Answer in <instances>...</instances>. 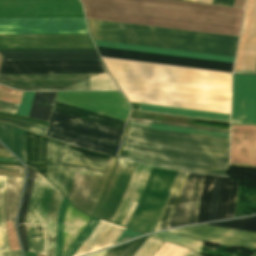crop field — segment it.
<instances>
[{
	"instance_id": "8a807250",
	"label": "crop field",
	"mask_w": 256,
	"mask_h": 256,
	"mask_svg": "<svg viewBox=\"0 0 256 256\" xmlns=\"http://www.w3.org/2000/svg\"><path fill=\"white\" fill-rule=\"evenodd\" d=\"M118 80L230 94L231 74L102 58ZM115 80L129 102L230 114V95Z\"/></svg>"
},
{
	"instance_id": "ac0d7876",
	"label": "crop field",
	"mask_w": 256,
	"mask_h": 256,
	"mask_svg": "<svg viewBox=\"0 0 256 256\" xmlns=\"http://www.w3.org/2000/svg\"><path fill=\"white\" fill-rule=\"evenodd\" d=\"M229 139L130 127L122 158L177 170L226 175Z\"/></svg>"
},
{
	"instance_id": "34b2d1b8",
	"label": "crop field",
	"mask_w": 256,
	"mask_h": 256,
	"mask_svg": "<svg viewBox=\"0 0 256 256\" xmlns=\"http://www.w3.org/2000/svg\"><path fill=\"white\" fill-rule=\"evenodd\" d=\"M93 40L234 57L238 37L87 19Z\"/></svg>"
},
{
	"instance_id": "412701ff",
	"label": "crop field",
	"mask_w": 256,
	"mask_h": 256,
	"mask_svg": "<svg viewBox=\"0 0 256 256\" xmlns=\"http://www.w3.org/2000/svg\"><path fill=\"white\" fill-rule=\"evenodd\" d=\"M53 111L88 120L94 123L124 130L125 121L90 112L84 109L54 102ZM51 113L46 137L92 151L117 156L122 131L87 122L81 119Z\"/></svg>"
},
{
	"instance_id": "f4fd0767",
	"label": "crop field",
	"mask_w": 256,
	"mask_h": 256,
	"mask_svg": "<svg viewBox=\"0 0 256 256\" xmlns=\"http://www.w3.org/2000/svg\"><path fill=\"white\" fill-rule=\"evenodd\" d=\"M0 84L21 91L119 90L108 74H0Z\"/></svg>"
},
{
	"instance_id": "dd49c442",
	"label": "crop field",
	"mask_w": 256,
	"mask_h": 256,
	"mask_svg": "<svg viewBox=\"0 0 256 256\" xmlns=\"http://www.w3.org/2000/svg\"><path fill=\"white\" fill-rule=\"evenodd\" d=\"M94 42L96 46H101V47H109V48L125 49V50H133V51H141V52H149V53H157V54H165V55L229 62V63H233V60H234V58H230V57L172 51V50H164V49H156V48H147V47H139V46H131V45H123V44H114V43H106V42H98V41H94ZM97 49L100 55L107 56V57L123 58V59H131V60H139V61H147V62H155V63H163V64L227 71V72H231L232 65H233L228 63H220V62L204 61V60H196V59H188V58H180V57L100 48V47H97Z\"/></svg>"
},
{
	"instance_id": "e52e79f7",
	"label": "crop field",
	"mask_w": 256,
	"mask_h": 256,
	"mask_svg": "<svg viewBox=\"0 0 256 256\" xmlns=\"http://www.w3.org/2000/svg\"><path fill=\"white\" fill-rule=\"evenodd\" d=\"M178 172L153 168L144 193L127 227L145 233L155 230Z\"/></svg>"
},
{
	"instance_id": "d8731c3e",
	"label": "crop field",
	"mask_w": 256,
	"mask_h": 256,
	"mask_svg": "<svg viewBox=\"0 0 256 256\" xmlns=\"http://www.w3.org/2000/svg\"><path fill=\"white\" fill-rule=\"evenodd\" d=\"M188 174L187 172H179L155 231L167 228ZM202 178L203 175L201 174H189L168 228L196 223Z\"/></svg>"
},
{
	"instance_id": "5a996713",
	"label": "crop field",
	"mask_w": 256,
	"mask_h": 256,
	"mask_svg": "<svg viewBox=\"0 0 256 256\" xmlns=\"http://www.w3.org/2000/svg\"><path fill=\"white\" fill-rule=\"evenodd\" d=\"M55 186L37 173L25 220L30 252L47 256L46 224Z\"/></svg>"
},
{
	"instance_id": "3316defc",
	"label": "crop field",
	"mask_w": 256,
	"mask_h": 256,
	"mask_svg": "<svg viewBox=\"0 0 256 256\" xmlns=\"http://www.w3.org/2000/svg\"><path fill=\"white\" fill-rule=\"evenodd\" d=\"M237 185L230 178L204 175L197 223L233 217Z\"/></svg>"
},
{
	"instance_id": "28ad6ade",
	"label": "crop field",
	"mask_w": 256,
	"mask_h": 256,
	"mask_svg": "<svg viewBox=\"0 0 256 256\" xmlns=\"http://www.w3.org/2000/svg\"><path fill=\"white\" fill-rule=\"evenodd\" d=\"M115 161V157H110L103 173L75 167L68 199L76 208L92 215Z\"/></svg>"
},
{
	"instance_id": "d1516ede",
	"label": "crop field",
	"mask_w": 256,
	"mask_h": 256,
	"mask_svg": "<svg viewBox=\"0 0 256 256\" xmlns=\"http://www.w3.org/2000/svg\"><path fill=\"white\" fill-rule=\"evenodd\" d=\"M0 34H88L84 19H0Z\"/></svg>"
},
{
	"instance_id": "22f410ed",
	"label": "crop field",
	"mask_w": 256,
	"mask_h": 256,
	"mask_svg": "<svg viewBox=\"0 0 256 256\" xmlns=\"http://www.w3.org/2000/svg\"><path fill=\"white\" fill-rule=\"evenodd\" d=\"M0 73H107L101 60L3 61Z\"/></svg>"
},
{
	"instance_id": "cbeb9de0",
	"label": "crop field",
	"mask_w": 256,
	"mask_h": 256,
	"mask_svg": "<svg viewBox=\"0 0 256 256\" xmlns=\"http://www.w3.org/2000/svg\"><path fill=\"white\" fill-rule=\"evenodd\" d=\"M0 49H95L88 35H0Z\"/></svg>"
},
{
	"instance_id": "5142ce71",
	"label": "crop field",
	"mask_w": 256,
	"mask_h": 256,
	"mask_svg": "<svg viewBox=\"0 0 256 256\" xmlns=\"http://www.w3.org/2000/svg\"><path fill=\"white\" fill-rule=\"evenodd\" d=\"M215 244L256 249V233L200 225L166 231Z\"/></svg>"
},
{
	"instance_id": "d9b57169",
	"label": "crop field",
	"mask_w": 256,
	"mask_h": 256,
	"mask_svg": "<svg viewBox=\"0 0 256 256\" xmlns=\"http://www.w3.org/2000/svg\"><path fill=\"white\" fill-rule=\"evenodd\" d=\"M232 124L256 125V75H233Z\"/></svg>"
},
{
	"instance_id": "733c2abd",
	"label": "crop field",
	"mask_w": 256,
	"mask_h": 256,
	"mask_svg": "<svg viewBox=\"0 0 256 256\" xmlns=\"http://www.w3.org/2000/svg\"><path fill=\"white\" fill-rule=\"evenodd\" d=\"M135 164V162L118 159L94 217L110 221L126 189Z\"/></svg>"
},
{
	"instance_id": "4a817a6b",
	"label": "crop field",
	"mask_w": 256,
	"mask_h": 256,
	"mask_svg": "<svg viewBox=\"0 0 256 256\" xmlns=\"http://www.w3.org/2000/svg\"><path fill=\"white\" fill-rule=\"evenodd\" d=\"M256 65V0H247L234 70L254 71Z\"/></svg>"
},
{
	"instance_id": "bc2a9ffb",
	"label": "crop field",
	"mask_w": 256,
	"mask_h": 256,
	"mask_svg": "<svg viewBox=\"0 0 256 256\" xmlns=\"http://www.w3.org/2000/svg\"><path fill=\"white\" fill-rule=\"evenodd\" d=\"M137 110L208 118V119H217V120H225V121H229V117H230V115H226V114L209 113V112L167 108V107L142 105V104L138 105ZM127 125L229 138V133L220 132V131H212V130H204V129H196V128L132 121V120H129Z\"/></svg>"
},
{
	"instance_id": "214f88e0",
	"label": "crop field",
	"mask_w": 256,
	"mask_h": 256,
	"mask_svg": "<svg viewBox=\"0 0 256 256\" xmlns=\"http://www.w3.org/2000/svg\"><path fill=\"white\" fill-rule=\"evenodd\" d=\"M153 167L139 164L137 163L135 166V169L133 171V174L131 176V179L129 181V184L127 186V189L124 193V196L115 211L111 222H114L116 224L121 225L130 205L132 202L138 203L139 198L145 188V185L148 181V178L150 176L151 170ZM137 204L132 203L122 225L126 226L128 220L130 219L135 207Z\"/></svg>"
},
{
	"instance_id": "92a150f3",
	"label": "crop field",
	"mask_w": 256,
	"mask_h": 256,
	"mask_svg": "<svg viewBox=\"0 0 256 256\" xmlns=\"http://www.w3.org/2000/svg\"><path fill=\"white\" fill-rule=\"evenodd\" d=\"M3 60L100 59L96 50H0Z\"/></svg>"
},
{
	"instance_id": "dafd665d",
	"label": "crop field",
	"mask_w": 256,
	"mask_h": 256,
	"mask_svg": "<svg viewBox=\"0 0 256 256\" xmlns=\"http://www.w3.org/2000/svg\"><path fill=\"white\" fill-rule=\"evenodd\" d=\"M110 156L62 143L59 164L102 172Z\"/></svg>"
},
{
	"instance_id": "00972430",
	"label": "crop field",
	"mask_w": 256,
	"mask_h": 256,
	"mask_svg": "<svg viewBox=\"0 0 256 256\" xmlns=\"http://www.w3.org/2000/svg\"><path fill=\"white\" fill-rule=\"evenodd\" d=\"M61 143L49 139L47 154V179L67 197L74 167L58 165Z\"/></svg>"
},
{
	"instance_id": "a9b5d70f",
	"label": "crop field",
	"mask_w": 256,
	"mask_h": 256,
	"mask_svg": "<svg viewBox=\"0 0 256 256\" xmlns=\"http://www.w3.org/2000/svg\"><path fill=\"white\" fill-rule=\"evenodd\" d=\"M109 222L100 220L96 225L94 230L86 238L80 248L76 251L73 256L84 255L85 252L90 248L94 241L99 237L103 230L108 226ZM124 227L110 223L109 226L104 230L100 237L95 241L91 248L86 252V254L110 247L120 236Z\"/></svg>"
},
{
	"instance_id": "4177f3b9",
	"label": "crop field",
	"mask_w": 256,
	"mask_h": 256,
	"mask_svg": "<svg viewBox=\"0 0 256 256\" xmlns=\"http://www.w3.org/2000/svg\"><path fill=\"white\" fill-rule=\"evenodd\" d=\"M48 139L26 131L27 165L45 175Z\"/></svg>"
},
{
	"instance_id": "730fd06b",
	"label": "crop field",
	"mask_w": 256,
	"mask_h": 256,
	"mask_svg": "<svg viewBox=\"0 0 256 256\" xmlns=\"http://www.w3.org/2000/svg\"><path fill=\"white\" fill-rule=\"evenodd\" d=\"M24 137V130L0 122V139L26 164Z\"/></svg>"
},
{
	"instance_id": "eef30255",
	"label": "crop field",
	"mask_w": 256,
	"mask_h": 256,
	"mask_svg": "<svg viewBox=\"0 0 256 256\" xmlns=\"http://www.w3.org/2000/svg\"><path fill=\"white\" fill-rule=\"evenodd\" d=\"M24 178L9 177L5 193L6 220L13 221L23 186Z\"/></svg>"
},
{
	"instance_id": "ae1a2a85",
	"label": "crop field",
	"mask_w": 256,
	"mask_h": 256,
	"mask_svg": "<svg viewBox=\"0 0 256 256\" xmlns=\"http://www.w3.org/2000/svg\"><path fill=\"white\" fill-rule=\"evenodd\" d=\"M55 93L36 92L28 117L48 121Z\"/></svg>"
},
{
	"instance_id": "d3111659",
	"label": "crop field",
	"mask_w": 256,
	"mask_h": 256,
	"mask_svg": "<svg viewBox=\"0 0 256 256\" xmlns=\"http://www.w3.org/2000/svg\"><path fill=\"white\" fill-rule=\"evenodd\" d=\"M62 196L63 194L57 188H55V191L52 197L49 218H48V225H47L48 256H54L55 254L57 213L60 208Z\"/></svg>"
},
{
	"instance_id": "750c4746",
	"label": "crop field",
	"mask_w": 256,
	"mask_h": 256,
	"mask_svg": "<svg viewBox=\"0 0 256 256\" xmlns=\"http://www.w3.org/2000/svg\"><path fill=\"white\" fill-rule=\"evenodd\" d=\"M8 176L0 175V256H21L20 251H10L5 228L4 192Z\"/></svg>"
},
{
	"instance_id": "bd1437ed",
	"label": "crop field",
	"mask_w": 256,
	"mask_h": 256,
	"mask_svg": "<svg viewBox=\"0 0 256 256\" xmlns=\"http://www.w3.org/2000/svg\"><path fill=\"white\" fill-rule=\"evenodd\" d=\"M27 169H28V180L26 183L23 201H22L21 210H20L19 219H18V231H19V235L21 237L23 249L29 251L28 246H27V240H26L24 219H25L28 200H29V197H30V194L32 191L36 171H34L28 167H27Z\"/></svg>"
},
{
	"instance_id": "1d83c4d3",
	"label": "crop field",
	"mask_w": 256,
	"mask_h": 256,
	"mask_svg": "<svg viewBox=\"0 0 256 256\" xmlns=\"http://www.w3.org/2000/svg\"><path fill=\"white\" fill-rule=\"evenodd\" d=\"M151 236L188 247L198 253L201 252V249L204 243L202 241H198V240H194V239H190V238H186V237H182V236H178V235H174L166 232L154 234Z\"/></svg>"
},
{
	"instance_id": "120bbe31",
	"label": "crop field",
	"mask_w": 256,
	"mask_h": 256,
	"mask_svg": "<svg viewBox=\"0 0 256 256\" xmlns=\"http://www.w3.org/2000/svg\"><path fill=\"white\" fill-rule=\"evenodd\" d=\"M207 225L256 232V216L237 219V220H231V221H225V222H219V223H213V224H207Z\"/></svg>"
},
{
	"instance_id": "d32e631a",
	"label": "crop field",
	"mask_w": 256,
	"mask_h": 256,
	"mask_svg": "<svg viewBox=\"0 0 256 256\" xmlns=\"http://www.w3.org/2000/svg\"><path fill=\"white\" fill-rule=\"evenodd\" d=\"M147 237L111 248L104 256H132Z\"/></svg>"
},
{
	"instance_id": "5866460e",
	"label": "crop field",
	"mask_w": 256,
	"mask_h": 256,
	"mask_svg": "<svg viewBox=\"0 0 256 256\" xmlns=\"http://www.w3.org/2000/svg\"><path fill=\"white\" fill-rule=\"evenodd\" d=\"M163 243L164 241L149 236L133 256H153Z\"/></svg>"
},
{
	"instance_id": "028f5c9d",
	"label": "crop field",
	"mask_w": 256,
	"mask_h": 256,
	"mask_svg": "<svg viewBox=\"0 0 256 256\" xmlns=\"http://www.w3.org/2000/svg\"><path fill=\"white\" fill-rule=\"evenodd\" d=\"M98 221L99 219L91 217L87 227L84 229V231L81 233V235L77 238V240L73 243V245L70 247V249L67 251V253L64 256H72L75 253V251L82 244L85 238L89 235V233L98 223Z\"/></svg>"
},
{
	"instance_id": "e1f06a70",
	"label": "crop field",
	"mask_w": 256,
	"mask_h": 256,
	"mask_svg": "<svg viewBox=\"0 0 256 256\" xmlns=\"http://www.w3.org/2000/svg\"><path fill=\"white\" fill-rule=\"evenodd\" d=\"M68 202L69 201L64 196L60 211L58 213L57 237H56V254H55V256H60L61 237H62V223H63V217H64L65 209H66V206H67Z\"/></svg>"
},
{
	"instance_id": "0bd39190",
	"label": "crop field",
	"mask_w": 256,
	"mask_h": 256,
	"mask_svg": "<svg viewBox=\"0 0 256 256\" xmlns=\"http://www.w3.org/2000/svg\"><path fill=\"white\" fill-rule=\"evenodd\" d=\"M0 121L7 122V123H10V124L22 127L24 129L36 132V133L41 134V135H45V131H46V128H47L45 126L31 124V123L22 122V121H17V120H13V119L4 118V117H0Z\"/></svg>"
},
{
	"instance_id": "b80d0937",
	"label": "crop field",
	"mask_w": 256,
	"mask_h": 256,
	"mask_svg": "<svg viewBox=\"0 0 256 256\" xmlns=\"http://www.w3.org/2000/svg\"><path fill=\"white\" fill-rule=\"evenodd\" d=\"M34 93L35 92H24L18 115L28 116Z\"/></svg>"
},
{
	"instance_id": "c035e120",
	"label": "crop field",
	"mask_w": 256,
	"mask_h": 256,
	"mask_svg": "<svg viewBox=\"0 0 256 256\" xmlns=\"http://www.w3.org/2000/svg\"><path fill=\"white\" fill-rule=\"evenodd\" d=\"M18 106L17 104L0 101V112L16 115Z\"/></svg>"
},
{
	"instance_id": "c21b1889",
	"label": "crop field",
	"mask_w": 256,
	"mask_h": 256,
	"mask_svg": "<svg viewBox=\"0 0 256 256\" xmlns=\"http://www.w3.org/2000/svg\"><path fill=\"white\" fill-rule=\"evenodd\" d=\"M131 230V229H130ZM130 230H127L125 229V231L122 233V235L118 238V240L114 243V245L116 244H119V243H122L124 241H127L129 239H132L134 237H137V236H140V235H143V234H140V233H137V232H133V231H130Z\"/></svg>"
},
{
	"instance_id": "03da06ac",
	"label": "crop field",
	"mask_w": 256,
	"mask_h": 256,
	"mask_svg": "<svg viewBox=\"0 0 256 256\" xmlns=\"http://www.w3.org/2000/svg\"><path fill=\"white\" fill-rule=\"evenodd\" d=\"M0 170L19 172L18 176H24V170H23V167L21 166H11V165L0 164Z\"/></svg>"
},
{
	"instance_id": "b54c1fbb",
	"label": "crop field",
	"mask_w": 256,
	"mask_h": 256,
	"mask_svg": "<svg viewBox=\"0 0 256 256\" xmlns=\"http://www.w3.org/2000/svg\"><path fill=\"white\" fill-rule=\"evenodd\" d=\"M234 0H213L212 4L232 6Z\"/></svg>"
},
{
	"instance_id": "5d738f31",
	"label": "crop field",
	"mask_w": 256,
	"mask_h": 256,
	"mask_svg": "<svg viewBox=\"0 0 256 256\" xmlns=\"http://www.w3.org/2000/svg\"><path fill=\"white\" fill-rule=\"evenodd\" d=\"M0 157L14 158L7 150L0 149Z\"/></svg>"
},
{
	"instance_id": "d23c7cc5",
	"label": "crop field",
	"mask_w": 256,
	"mask_h": 256,
	"mask_svg": "<svg viewBox=\"0 0 256 256\" xmlns=\"http://www.w3.org/2000/svg\"><path fill=\"white\" fill-rule=\"evenodd\" d=\"M185 256H200V255L189 250Z\"/></svg>"
},
{
	"instance_id": "425ffa30",
	"label": "crop field",
	"mask_w": 256,
	"mask_h": 256,
	"mask_svg": "<svg viewBox=\"0 0 256 256\" xmlns=\"http://www.w3.org/2000/svg\"><path fill=\"white\" fill-rule=\"evenodd\" d=\"M106 251L107 250L99 252V253H96V254H93V255H90V256H103L106 253Z\"/></svg>"
},
{
	"instance_id": "25e5ab78",
	"label": "crop field",
	"mask_w": 256,
	"mask_h": 256,
	"mask_svg": "<svg viewBox=\"0 0 256 256\" xmlns=\"http://www.w3.org/2000/svg\"><path fill=\"white\" fill-rule=\"evenodd\" d=\"M0 161H13V162H18L15 159H8V158H0Z\"/></svg>"
},
{
	"instance_id": "73cf0c24",
	"label": "crop field",
	"mask_w": 256,
	"mask_h": 256,
	"mask_svg": "<svg viewBox=\"0 0 256 256\" xmlns=\"http://www.w3.org/2000/svg\"><path fill=\"white\" fill-rule=\"evenodd\" d=\"M25 256H36L35 254L24 252Z\"/></svg>"
},
{
	"instance_id": "89e229c0",
	"label": "crop field",
	"mask_w": 256,
	"mask_h": 256,
	"mask_svg": "<svg viewBox=\"0 0 256 256\" xmlns=\"http://www.w3.org/2000/svg\"><path fill=\"white\" fill-rule=\"evenodd\" d=\"M0 148H3V149H5L1 144H0Z\"/></svg>"
},
{
	"instance_id": "1f2cbd36",
	"label": "crop field",
	"mask_w": 256,
	"mask_h": 256,
	"mask_svg": "<svg viewBox=\"0 0 256 256\" xmlns=\"http://www.w3.org/2000/svg\"><path fill=\"white\" fill-rule=\"evenodd\" d=\"M187 1H192V0H187Z\"/></svg>"
},
{
	"instance_id": "dbb93151",
	"label": "crop field",
	"mask_w": 256,
	"mask_h": 256,
	"mask_svg": "<svg viewBox=\"0 0 256 256\" xmlns=\"http://www.w3.org/2000/svg\"><path fill=\"white\" fill-rule=\"evenodd\" d=\"M208 4V3H207Z\"/></svg>"
}]
</instances>
